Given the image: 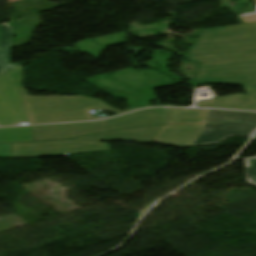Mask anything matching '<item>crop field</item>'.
<instances>
[{
    "label": "crop field",
    "mask_w": 256,
    "mask_h": 256,
    "mask_svg": "<svg viewBox=\"0 0 256 256\" xmlns=\"http://www.w3.org/2000/svg\"><path fill=\"white\" fill-rule=\"evenodd\" d=\"M34 140L29 127L0 129V143Z\"/></svg>",
    "instance_id": "crop-field-10"
},
{
    "label": "crop field",
    "mask_w": 256,
    "mask_h": 256,
    "mask_svg": "<svg viewBox=\"0 0 256 256\" xmlns=\"http://www.w3.org/2000/svg\"><path fill=\"white\" fill-rule=\"evenodd\" d=\"M216 122H246L256 125V113L209 110L207 124L192 146L221 143L228 136L233 135L250 136L256 129L255 125L250 124Z\"/></svg>",
    "instance_id": "crop-field-4"
},
{
    "label": "crop field",
    "mask_w": 256,
    "mask_h": 256,
    "mask_svg": "<svg viewBox=\"0 0 256 256\" xmlns=\"http://www.w3.org/2000/svg\"><path fill=\"white\" fill-rule=\"evenodd\" d=\"M30 124L98 120L89 110L102 109L117 115L136 109L119 111L104 102L86 98H30L24 88H19ZM139 109V108H137Z\"/></svg>",
    "instance_id": "crop-field-2"
},
{
    "label": "crop field",
    "mask_w": 256,
    "mask_h": 256,
    "mask_svg": "<svg viewBox=\"0 0 256 256\" xmlns=\"http://www.w3.org/2000/svg\"><path fill=\"white\" fill-rule=\"evenodd\" d=\"M11 157L10 144H0V158Z\"/></svg>",
    "instance_id": "crop-field-13"
},
{
    "label": "crop field",
    "mask_w": 256,
    "mask_h": 256,
    "mask_svg": "<svg viewBox=\"0 0 256 256\" xmlns=\"http://www.w3.org/2000/svg\"><path fill=\"white\" fill-rule=\"evenodd\" d=\"M208 110L172 109L170 124L203 123V125H166L155 143L189 147L204 127Z\"/></svg>",
    "instance_id": "crop-field-5"
},
{
    "label": "crop field",
    "mask_w": 256,
    "mask_h": 256,
    "mask_svg": "<svg viewBox=\"0 0 256 256\" xmlns=\"http://www.w3.org/2000/svg\"><path fill=\"white\" fill-rule=\"evenodd\" d=\"M186 58L203 63L194 82L256 86V22L203 30Z\"/></svg>",
    "instance_id": "crop-field-1"
},
{
    "label": "crop field",
    "mask_w": 256,
    "mask_h": 256,
    "mask_svg": "<svg viewBox=\"0 0 256 256\" xmlns=\"http://www.w3.org/2000/svg\"><path fill=\"white\" fill-rule=\"evenodd\" d=\"M245 93L256 98V87H244ZM223 98V100H220ZM197 102V107L238 109L256 111V100L244 95L236 94Z\"/></svg>",
    "instance_id": "crop-field-9"
},
{
    "label": "crop field",
    "mask_w": 256,
    "mask_h": 256,
    "mask_svg": "<svg viewBox=\"0 0 256 256\" xmlns=\"http://www.w3.org/2000/svg\"><path fill=\"white\" fill-rule=\"evenodd\" d=\"M246 178L250 184L256 185V159L246 160Z\"/></svg>",
    "instance_id": "crop-field-12"
},
{
    "label": "crop field",
    "mask_w": 256,
    "mask_h": 256,
    "mask_svg": "<svg viewBox=\"0 0 256 256\" xmlns=\"http://www.w3.org/2000/svg\"><path fill=\"white\" fill-rule=\"evenodd\" d=\"M164 127L165 125L142 127L130 130L108 132L77 139L93 140L98 142H100V140H128L141 143H150L154 142Z\"/></svg>",
    "instance_id": "crop-field-8"
},
{
    "label": "crop field",
    "mask_w": 256,
    "mask_h": 256,
    "mask_svg": "<svg viewBox=\"0 0 256 256\" xmlns=\"http://www.w3.org/2000/svg\"><path fill=\"white\" fill-rule=\"evenodd\" d=\"M20 86L21 66L0 75V126L29 124L18 89Z\"/></svg>",
    "instance_id": "crop-field-6"
},
{
    "label": "crop field",
    "mask_w": 256,
    "mask_h": 256,
    "mask_svg": "<svg viewBox=\"0 0 256 256\" xmlns=\"http://www.w3.org/2000/svg\"><path fill=\"white\" fill-rule=\"evenodd\" d=\"M171 108H152L100 122L30 127L35 140L72 138L132 126L168 124Z\"/></svg>",
    "instance_id": "crop-field-3"
},
{
    "label": "crop field",
    "mask_w": 256,
    "mask_h": 256,
    "mask_svg": "<svg viewBox=\"0 0 256 256\" xmlns=\"http://www.w3.org/2000/svg\"><path fill=\"white\" fill-rule=\"evenodd\" d=\"M0 74L3 73V67H2V55H3V42H4V30L0 26Z\"/></svg>",
    "instance_id": "crop-field-14"
},
{
    "label": "crop field",
    "mask_w": 256,
    "mask_h": 256,
    "mask_svg": "<svg viewBox=\"0 0 256 256\" xmlns=\"http://www.w3.org/2000/svg\"><path fill=\"white\" fill-rule=\"evenodd\" d=\"M12 157L48 156L109 150L108 144L84 140H59L11 144Z\"/></svg>",
    "instance_id": "crop-field-7"
},
{
    "label": "crop field",
    "mask_w": 256,
    "mask_h": 256,
    "mask_svg": "<svg viewBox=\"0 0 256 256\" xmlns=\"http://www.w3.org/2000/svg\"><path fill=\"white\" fill-rule=\"evenodd\" d=\"M256 3V0H255ZM244 23L256 21V13L240 16Z\"/></svg>",
    "instance_id": "crop-field-15"
},
{
    "label": "crop field",
    "mask_w": 256,
    "mask_h": 256,
    "mask_svg": "<svg viewBox=\"0 0 256 256\" xmlns=\"http://www.w3.org/2000/svg\"><path fill=\"white\" fill-rule=\"evenodd\" d=\"M5 30V43H4V55H3V67L5 72L11 70L15 67H18L22 64L9 65L10 64V50H11V38L12 31L8 25H1Z\"/></svg>",
    "instance_id": "crop-field-11"
}]
</instances>
